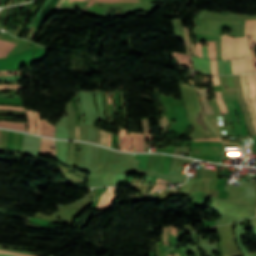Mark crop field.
<instances>
[{
	"mask_svg": "<svg viewBox=\"0 0 256 256\" xmlns=\"http://www.w3.org/2000/svg\"><path fill=\"white\" fill-rule=\"evenodd\" d=\"M197 32L221 34V28H232V30H244L245 21H224V20H195ZM232 36H244V31H232Z\"/></svg>",
	"mask_w": 256,
	"mask_h": 256,
	"instance_id": "1",
	"label": "crop field"
},
{
	"mask_svg": "<svg viewBox=\"0 0 256 256\" xmlns=\"http://www.w3.org/2000/svg\"><path fill=\"white\" fill-rule=\"evenodd\" d=\"M237 55L238 58L245 57L246 60V73L253 72L252 69V55L250 52V45L248 36L238 38L237 40Z\"/></svg>",
	"mask_w": 256,
	"mask_h": 256,
	"instance_id": "2",
	"label": "crop field"
},
{
	"mask_svg": "<svg viewBox=\"0 0 256 256\" xmlns=\"http://www.w3.org/2000/svg\"><path fill=\"white\" fill-rule=\"evenodd\" d=\"M241 82H242V87H243V92H244V100L246 102V105L248 107L251 119L253 121L255 130H256V117L254 115L253 107L250 103L249 97H248V85H247V80L245 75H240Z\"/></svg>",
	"mask_w": 256,
	"mask_h": 256,
	"instance_id": "3",
	"label": "crop field"
},
{
	"mask_svg": "<svg viewBox=\"0 0 256 256\" xmlns=\"http://www.w3.org/2000/svg\"><path fill=\"white\" fill-rule=\"evenodd\" d=\"M53 146L54 150L50 148ZM46 153H52L54 158H56V143L53 139L41 138L40 140V154L45 155Z\"/></svg>",
	"mask_w": 256,
	"mask_h": 256,
	"instance_id": "4",
	"label": "crop field"
},
{
	"mask_svg": "<svg viewBox=\"0 0 256 256\" xmlns=\"http://www.w3.org/2000/svg\"><path fill=\"white\" fill-rule=\"evenodd\" d=\"M134 137L128 136L127 131L121 130L120 132V149L133 152Z\"/></svg>",
	"mask_w": 256,
	"mask_h": 256,
	"instance_id": "5",
	"label": "crop field"
},
{
	"mask_svg": "<svg viewBox=\"0 0 256 256\" xmlns=\"http://www.w3.org/2000/svg\"><path fill=\"white\" fill-rule=\"evenodd\" d=\"M197 34V33H196ZM198 39L197 41H207V40H215L216 47H217V59H222L221 57V41L220 36L215 34H197Z\"/></svg>",
	"mask_w": 256,
	"mask_h": 256,
	"instance_id": "6",
	"label": "crop field"
},
{
	"mask_svg": "<svg viewBox=\"0 0 256 256\" xmlns=\"http://www.w3.org/2000/svg\"><path fill=\"white\" fill-rule=\"evenodd\" d=\"M193 64L196 69L200 72L211 75L210 72V60L209 59H199L192 57Z\"/></svg>",
	"mask_w": 256,
	"mask_h": 256,
	"instance_id": "7",
	"label": "crop field"
},
{
	"mask_svg": "<svg viewBox=\"0 0 256 256\" xmlns=\"http://www.w3.org/2000/svg\"><path fill=\"white\" fill-rule=\"evenodd\" d=\"M41 133L45 136H55V126L49 124L46 119H42L40 123Z\"/></svg>",
	"mask_w": 256,
	"mask_h": 256,
	"instance_id": "8",
	"label": "crop field"
},
{
	"mask_svg": "<svg viewBox=\"0 0 256 256\" xmlns=\"http://www.w3.org/2000/svg\"><path fill=\"white\" fill-rule=\"evenodd\" d=\"M59 0H56L54 2V0L51 1L49 7L51 6V4L54 2L53 6L51 7V9L44 15L43 19L39 22V20L41 19V17L43 16V14L46 12V10L49 8H46V10L38 17L37 21L35 22V24L32 26V28L30 29L29 32L31 33H37L38 29L40 28L41 24L43 23V21L45 20V18L49 15V13L53 10V8L56 6V4L58 3ZM39 22V24L37 25V23ZM37 25V27L35 28V26Z\"/></svg>",
	"mask_w": 256,
	"mask_h": 256,
	"instance_id": "9",
	"label": "crop field"
},
{
	"mask_svg": "<svg viewBox=\"0 0 256 256\" xmlns=\"http://www.w3.org/2000/svg\"><path fill=\"white\" fill-rule=\"evenodd\" d=\"M246 76H247L248 84L250 87V99L256 111V90L254 86L253 77H252V74H249Z\"/></svg>",
	"mask_w": 256,
	"mask_h": 256,
	"instance_id": "10",
	"label": "crop field"
},
{
	"mask_svg": "<svg viewBox=\"0 0 256 256\" xmlns=\"http://www.w3.org/2000/svg\"><path fill=\"white\" fill-rule=\"evenodd\" d=\"M129 135H134L135 137V151L144 152V134L130 133Z\"/></svg>",
	"mask_w": 256,
	"mask_h": 256,
	"instance_id": "11",
	"label": "crop field"
},
{
	"mask_svg": "<svg viewBox=\"0 0 256 256\" xmlns=\"http://www.w3.org/2000/svg\"><path fill=\"white\" fill-rule=\"evenodd\" d=\"M232 103H233L234 108H235V110H236V112H237V114L239 116V119H240V123H241L240 131H241V134H242L243 137L247 136L248 134H247L246 126H245V123H244V120H243V114H242V112L240 110V107H239L237 101H232Z\"/></svg>",
	"mask_w": 256,
	"mask_h": 256,
	"instance_id": "12",
	"label": "crop field"
},
{
	"mask_svg": "<svg viewBox=\"0 0 256 256\" xmlns=\"http://www.w3.org/2000/svg\"><path fill=\"white\" fill-rule=\"evenodd\" d=\"M25 125L26 124L0 121V127L18 129V130H22V131H26V129L24 127Z\"/></svg>",
	"mask_w": 256,
	"mask_h": 256,
	"instance_id": "13",
	"label": "crop field"
},
{
	"mask_svg": "<svg viewBox=\"0 0 256 256\" xmlns=\"http://www.w3.org/2000/svg\"><path fill=\"white\" fill-rule=\"evenodd\" d=\"M175 58L179 59L180 64L182 65H187L190 66L192 68V60L190 56L181 54V53H174Z\"/></svg>",
	"mask_w": 256,
	"mask_h": 256,
	"instance_id": "14",
	"label": "crop field"
},
{
	"mask_svg": "<svg viewBox=\"0 0 256 256\" xmlns=\"http://www.w3.org/2000/svg\"><path fill=\"white\" fill-rule=\"evenodd\" d=\"M248 20H246L247 22ZM252 22L251 25L245 22V36L246 35H256V20H250ZM256 42V38H255Z\"/></svg>",
	"mask_w": 256,
	"mask_h": 256,
	"instance_id": "15",
	"label": "crop field"
},
{
	"mask_svg": "<svg viewBox=\"0 0 256 256\" xmlns=\"http://www.w3.org/2000/svg\"><path fill=\"white\" fill-rule=\"evenodd\" d=\"M226 43H227L228 59H234V55H233V37H228V35H226Z\"/></svg>",
	"mask_w": 256,
	"mask_h": 256,
	"instance_id": "16",
	"label": "crop field"
},
{
	"mask_svg": "<svg viewBox=\"0 0 256 256\" xmlns=\"http://www.w3.org/2000/svg\"><path fill=\"white\" fill-rule=\"evenodd\" d=\"M27 117H28V122H29V129H28V131H30V132H35V117H34V112H32V111H27Z\"/></svg>",
	"mask_w": 256,
	"mask_h": 256,
	"instance_id": "17",
	"label": "crop field"
},
{
	"mask_svg": "<svg viewBox=\"0 0 256 256\" xmlns=\"http://www.w3.org/2000/svg\"><path fill=\"white\" fill-rule=\"evenodd\" d=\"M215 95H216V100L219 104V108L221 110V112L224 114L226 112H228L227 108H226V105L221 97V92H215Z\"/></svg>",
	"mask_w": 256,
	"mask_h": 256,
	"instance_id": "18",
	"label": "crop field"
},
{
	"mask_svg": "<svg viewBox=\"0 0 256 256\" xmlns=\"http://www.w3.org/2000/svg\"><path fill=\"white\" fill-rule=\"evenodd\" d=\"M207 44H208V55H209V58L216 59V48H215L214 41L207 42Z\"/></svg>",
	"mask_w": 256,
	"mask_h": 256,
	"instance_id": "19",
	"label": "crop field"
},
{
	"mask_svg": "<svg viewBox=\"0 0 256 256\" xmlns=\"http://www.w3.org/2000/svg\"><path fill=\"white\" fill-rule=\"evenodd\" d=\"M108 196H109V194H107V190H106L105 193L100 198V201H99L98 206L96 208L97 210H102Z\"/></svg>",
	"mask_w": 256,
	"mask_h": 256,
	"instance_id": "20",
	"label": "crop field"
},
{
	"mask_svg": "<svg viewBox=\"0 0 256 256\" xmlns=\"http://www.w3.org/2000/svg\"><path fill=\"white\" fill-rule=\"evenodd\" d=\"M236 40H237V38L235 37L234 47H235V56L237 58V55H236ZM238 63H239V70L245 73L244 58L238 59Z\"/></svg>",
	"mask_w": 256,
	"mask_h": 256,
	"instance_id": "21",
	"label": "crop field"
},
{
	"mask_svg": "<svg viewBox=\"0 0 256 256\" xmlns=\"http://www.w3.org/2000/svg\"><path fill=\"white\" fill-rule=\"evenodd\" d=\"M113 190H114V187H111V188L108 189V193L111 194V195H110V197L108 198V200H107V202H106L104 208L110 207V204H111L112 200H113L115 197H117V196L113 195ZM111 205H112V204H111Z\"/></svg>",
	"mask_w": 256,
	"mask_h": 256,
	"instance_id": "22",
	"label": "crop field"
},
{
	"mask_svg": "<svg viewBox=\"0 0 256 256\" xmlns=\"http://www.w3.org/2000/svg\"><path fill=\"white\" fill-rule=\"evenodd\" d=\"M170 227L167 229L164 227L163 243L169 245ZM170 246V245H169Z\"/></svg>",
	"mask_w": 256,
	"mask_h": 256,
	"instance_id": "23",
	"label": "crop field"
},
{
	"mask_svg": "<svg viewBox=\"0 0 256 256\" xmlns=\"http://www.w3.org/2000/svg\"><path fill=\"white\" fill-rule=\"evenodd\" d=\"M185 35H186V40H185V44H186V51H187V54L191 55V52H190V39H189V30L188 29H185Z\"/></svg>",
	"mask_w": 256,
	"mask_h": 256,
	"instance_id": "24",
	"label": "crop field"
},
{
	"mask_svg": "<svg viewBox=\"0 0 256 256\" xmlns=\"http://www.w3.org/2000/svg\"><path fill=\"white\" fill-rule=\"evenodd\" d=\"M254 38L255 36H251V46H252V53H253V65H254V72H256V57H255V50H254Z\"/></svg>",
	"mask_w": 256,
	"mask_h": 256,
	"instance_id": "25",
	"label": "crop field"
},
{
	"mask_svg": "<svg viewBox=\"0 0 256 256\" xmlns=\"http://www.w3.org/2000/svg\"><path fill=\"white\" fill-rule=\"evenodd\" d=\"M100 144L107 146V132L101 130Z\"/></svg>",
	"mask_w": 256,
	"mask_h": 256,
	"instance_id": "26",
	"label": "crop field"
},
{
	"mask_svg": "<svg viewBox=\"0 0 256 256\" xmlns=\"http://www.w3.org/2000/svg\"><path fill=\"white\" fill-rule=\"evenodd\" d=\"M211 71H212V75H218L217 60H211Z\"/></svg>",
	"mask_w": 256,
	"mask_h": 256,
	"instance_id": "27",
	"label": "crop field"
},
{
	"mask_svg": "<svg viewBox=\"0 0 256 256\" xmlns=\"http://www.w3.org/2000/svg\"><path fill=\"white\" fill-rule=\"evenodd\" d=\"M0 89H22V85H0Z\"/></svg>",
	"mask_w": 256,
	"mask_h": 256,
	"instance_id": "28",
	"label": "crop field"
},
{
	"mask_svg": "<svg viewBox=\"0 0 256 256\" xmlns=\"http://www.w3.org/2000/svg\"><path fill=\"white\" fill-rule=\"evenodd\" d=\"M1 110H21V111H25L24 108L21 107H11V106H0Z\"/></svg>",
	"mask_w": 256,
	"mask_h": 256,
	"instance_id": "29",
	"label": "crop field"
},
{
	"mask_svg": "<svg viewBox=\"0 0 256 256\" xmlns=\"http://www.w3.org/2000/svg\"><path fill=\"white\" fill-rule=\"evenodd\" d=\"M225 71H226V74H231L230 60H225Z\"/></svg>",
	"mask_w": 256,
	"mask_h": 256,
	"instance_id": "30",
	"label": "crop field"
},
{
	"mask_svg": "<svg viewBox=\"0 0 256 256\" xmlns=\"http://www.w3.org/2000/svg\"><path fill=\"white\" fill-rule=\"evenodd\" d=\"M222 45H223V57H224V59H227V55H226V44H225V36H222Z\"/></svg>",
	"mask_w": 256,
	"mask_h": 256,
	"instance_id": "31",
	"label": "crop field"
},
{
	"mask_svg": "<svg viewBox=\"0 0 256 256\" xmlns=\"http://www.w3.org/2000/svg\"><path fill=\"white\" fill-rule=\"evenodd\" d=\"M168 125V121H167V119H165V118H162L161 119V126H160V128H163L164 130H166V126Z\"/></svg>",
	"mask_w": 256,
	"mask_h": 256,
	"instance_id": "32",
	"label": "crop field"
},
{
	"mask_svg": "<svg viewBox=\"0 0 256 256\" xmlns=\"http://www.w3.org/2000/svg\"><path fill=\"white\" fill-rule=\"evenodd\" d=\"M196 141H221L219 138H209V139H195Z\"/></svg>",
	"mask_w": 256,
	"mask_h": 256,
	"instance_id": "33",
	"label": "crop field"
},
{
	"mask_svg": "<svg viewBox=\"0 0 256 256\" xmlns=\"http://www.w3.org/2000/svg\"><path fill=\"white\" fill-rule=\"evenodd\" d=\"M196 50H197V55L202 57V51H201V46L199 43H196Z\"/></svg>",
	"mask_w": 256,
	"mask_h": 256,
	"instance_id": "34",
	"label": "crop field"
},
{
	"mask_svg": "<svg viewBox=\"0 0 256 256\" xmlns=\"http://www.w3.org/2000/svg\"><path fill=\"white\" fill-rule=\"evenodd\" d=\"M158 189H166V186L165 185H156L153 187L151 193L155 190H158Z\"/></svg>",
	"mask_w": 256,
	"mask_h": 256,
	"instance_id": "35",
	"label": "crop field"
},
{
	"mask_svg": "<svg viewBox=\"0 0 256 256\" xmlns=\"http://www.w3.org/2000/svg\"><path fill=\"white\" fill-rule=\"evenodd\" d=\"M36 117H37V124H38V127H37V134L41 135V133H40V128H39L40 119H39L38 113H36Z\"/></svg>",
	"mask_w": 256,
	"mask_h": 256,
	"instance_id": "36",
	"label": "crop field"
},
{
	"mask_svg": "<svg viewBox=\"0 0 256 256\" xmlns=\"http://www.w3.org/2000/svg\"><path fill=\"white\" fill-rule=\"evenodd\" d=\"M214 85L220 84L218 76H212Z\"/></svg>",
	"mask_w": 256,
	"mask_h": 256,
	"instance_id": "37",
	"label": "crop field"
},
{
	"mask_svg": "<svg viewBox=\"0 0 256 256\" xmlns=\"http://www.w3.org/2000/svg\"><path fill=\"white\" fill-rule=\"evenodd\" d=\"M202 51H203V57H204V58H208L206 46H205V47H202Z\"/></svg>",
	"mask_w": 256,
	"mask_h": 256,
	"instance_id": "38",
	"label": "crop field"
},
{
	"mask_svg": "<svg viewBox=\"0 0 256 256\" xmlns=\"http://www.w3.org/2000/svg\"><path fill=\"white\" fill-rule=\"evenodd\" d=\"M177 231H178V227L173 228V226L171 225V233L177 236Z\"/></svg>",
	"mask_w": 256,
	"mask_h": 256,
	"instance_id": "39",
	"label": "crop field"
},
{
	"mask_svg": "<svg viewBox=\"0 0 256 256\" xmlns=\"http://www.w3.org/2000/svg\"><path fill=\"white\" fill-rule=\"evenodd\" d=\"M6 72H19V71H0V73H6ZM20 74V72H19ZM19 74H0V76L2 75H19Z\"/></svg>",
	"mask_w": 256,
	"mask_h": 256,
	"instance_id": "40",
	"label": "crop field"
},
{
	"mask_svg": "<svg viewBox=\"0 0 256 256\" xmlns=\"http://www.w3.org/2000/svg\"><path fill=\"white\" fill-rule=\"evenodd\" d=\"M191 51H192V55L196 56V51H195V47L193 45V43L191 42Z\"/></svg>",
	"mask_w": 256,
	"mask_h": 256,
	"instance_id": "41",
	"label": "crop field"
},
{
	"mask_svg": "<svg viewBox=\"0 0 256 256\" xmlns=\"http://www.w3.org/2000/svg\"><path fill=\"white\" fill-rule=\"evenodd\" d=\"M76 140H79V126H76Z\"/></svg>",
	"mask_w": 256,
	"mask_h": 256,
	"instance_id": "42",
	"label": "crop field"
},
{
	"mask_svg": "<svg viewBox=\"0 0 256 256\" xmlns=\"http://www.w3.org/2000/svg\"><path fill=\"white\" fill-rule=\"evenodd\" d=\"M156 183H171V182H168V181L157 178Z\"/></svg>",
	"mask_w": 256,
	"mask_h": 256,
	"instance_id": "43",
	"label": "crop field"
},
{
	"mask_svg": "<svg viewBox=\"0 0 256 256\" xmlns=\"http://www.w3.org/2000/svg\"><path fill=\"white\" fill-rule=\"evenodd\" d=\"M231 62H232V65H234L236 68H238L237 59L231 60Z\"/></svg>",
	"mask_w": 256,
	"mask_h": 256,
	"instance_id": "44",
	"label": "crop field"
},
{
	"mask_svg": "<svg viewBox=\"0 0 256 256\" xmlns=\"http://www.w3.org/2000/svg\"><path fill=\"white\" fill-rule=\"evenodd\" d=\"M146 137L153 143L152 135L146 133Z\"/></svg>",
	"mask_w": 256,
	"mask_h": 256,
	"instance_id": "45",
	"label": "crop field"
},
{
	"mask_svg": "<svg viewBox=\"0 0 256 256\" xmlns=\"http://www.w3.org/2000/svg\"><path fill=\"white\" fill-rule=\"evenodd\" d=\"M110 142H111V135H110V134H108V146H110V147H111Z\"/></svg>",
	"mask_w": 256,
	"mask_h": 256,
	"instance_id": "46",
	"label": "crop field"
},
{
	"mask_svg": "<svg viewBox=\"0 0 256 256\" xmlns=\"http://www.w3.org/2000/svg\"><path fill=\"white\" fill-rule=\"evenodd\" d=\"M0 252H5V251L0 250ZM6 253H10V252H6ZM11 254H16V253H11ZM16 255L29 256V255H23V254H16Z\"/></svg>",
	"mask_w": 256,
	"mask_h": 256,
	"instance_id": "47",
	"label": "crop field"
},
{
	"mask_svg": "<svg viewBox=\"0 0 256 256\" xmlns=\"http://www.w3.org/2000/svg\"><path fill=\"white\" fill-rule=\"evenodd\" d=\"M63 0H60V2L58 3V5L56 6V9L54 10V12L59 8L60 4L62 3Z\"/></svg>",
	"mask_w": 256,
	"mask_h": 256,
	"instance_id": "48",
	"label": "crop field"
},
{
	"mask_svg": "<svg viewBox=\"0 0 256 256\" xmlns=\"http://www.w3.org/2000/svg\"><path fill=\"white\" fill-rule=\"evenodd\" d=\"M233 70V74H238V70H236L235 68L232 67Z\"/></svg>",
	"mask_w": 256,
	"mask_h": 256,
	"instance_id": "49",
	"label": "crop field"
},
{
	"mask_svg": "<svg viewBox=\"0 0 256 256\" xmlns=\"http://www.w3.org/2000/svg\"><path fill=\"white\" fill-rule=\"evenodd\" d=\"M108 103H109V105H111L110 104V93L108 92Z\"/></svg>",
	"mask_w": 256,
	"mask_h": 256,
	"instance_id": "50",
	"label": "crop field"
},
{
	"mask_svg": "<svg viewBox=\"0 0 256 256\" xmlns=\"http://www.w3.org/2000/svg\"><path fill=\"white\" fill-rule=\"evenodd\" d=\"M184 256H187L186 249L183 248Z\"/></svg>",
	"mask_w": 256,
	"mask_h": 256,
	"instance_id": "51",
	"label": "crop field"
},
{
	"mask_svg": "<svg viewBox=\"0 0 256 256\" xmlns=\"http://www.w3.org/2000/svg\"><path fill=\"white\" fill-rule=\"evenodd\" d=\"M253 76H254V80H255V85H256V74H254Z\"/></svg>",
	"mask_w": 256,
	"mask_h": 256,
	"instance_id": "52",
	"label": "crop field"
},
{
	"mask_svg": "<svg viewBox=\"0 0 256 256\" xmlns=\"http://www.w3.org/2000/svg\"><path fill=\"white\" fill-rule=\"evenodd\" d=\"M70 2H72L73 0H69ZM77 1H87V0H77Z\"/></svg>",
	"mask_w": 256,
	"mask_h": 256,
	"instance_id": "53",
	"label": "crop field"
},
{
	"mask_svg": "<svg viewBox=\"0 0 256 256\" xmlns=\"http://www.w3.org/2000/svg\"><path fill=\"white\" fill-rule=\"evenodd\" d=\"M174 256H179V254H178V253H175Z\"/></svg>",
	"mask_w": 256,
	"mask_h": 256,
	"instance_id": "54",
	"label": "crop field"
},
{
	"mask_svg": "<svg viewBox=\"0 0 256 256\" xmlns=\"http://www.w3.org/2000/svg\"><path fill=\"white\" fill-rule=\"evenodd\" d=\"M68 0H65L64 3H66Z\"/></svg>",
	"mask_w": 256,
	"mask_h": 256,
	"instance_id": "55",
	"label": "crop field"
},
{
	"mask_svg": "<svg viewBox=\"0 0 256 256\" xmlns=\"http://www.w3.org/2000/svg\"><path fill=\"white\" fill-rule=\"evenodd\" d=\"M239 74H243V73L239 72Z\"/></svg>",
	"mask_w": 256,
	"mask_h": 256,
	"instance_id": "56",
	"label": "crop field"
},
{
	"mask_svg": "<svg viewBox=\"0 0 256 256\" xmlns=\"http://www.w3.org/2000/svg\"><path fill=\"white\" fill-rule=\"evenodd\" d=\"M167 256H171V255H167Z\"/></svg>",
	"mask_w": 256,
	"mask_h": 256,
	"instance_id": "57",
	"label": "crop field"
}]
</instances>
